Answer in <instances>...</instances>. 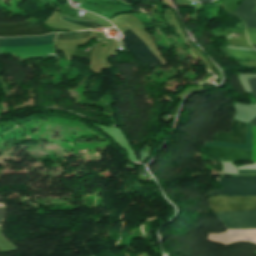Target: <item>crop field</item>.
<instances>
[{
	"label": "crop field",
	"instance_id": "crop-field-14",
	"mask_svg": "<svg viewBox=\"0 0 256 256\" xmlns=\"http://www.w3.org/2000/svg\"><path fill=\"white\" fill-rule=\"evenodd\" d=\"M227 42L230 44H234V45H243V46H249L251 47V45L249 44L248 40H242V39H227Z\"/></svg>",
	"mask_w": 256,
	"mask_h": 256
},
{
	"label": "crop field",
	"instance_id": "crop-field-4",
	"mask_svg": "<svg viewBox=\"0 0 256 256\" xmlns=\"http://www.w3.org/2000/svg\"><path fill=\"white\" fill-rule=\"evenodd\" d=\"M38 22H24L13 25L0 24V37L43 35L50 33Z\"/></svg>",
	"mask_w": 256,
	"mask_h": 256
},
{
	"label": "crop field",
	"instance_id": "crop-field-6",
	"mask_svg": "<svg viewBox=\"0 0 256 256\" xmlns=\"http://www.w3.org/2000/svg\"><path fill=\"white\" fill-rule=\"evenodd\" d=\"M202 151L213 160H219L218 157H224L223 161L251 162V152L248 151L211 147H203Z\"/></svg>",
	"mask_w": 256,
	"mask_h": 256
},
{
	"label": "crop field",
	"instance_id": "crop-field-9",
	"mask_svg": "<svg viewBox=\"0 0 256 256\" xmlns=\"http://www.w3.org/2000/svg\"><path fill=\"white\" fill-rule=\"evenodd\" d=\"M205 146H214V147H227L241 150L251 151L252 147V126L247 124V137H246V145L240 144H231V143H221V142H205Z\"/></svg>",
	"mask_w": 256,
	"mask_h": 256
},
{
	"label": "crop field",
	"instance_id": "crop-field-10",
	"mask_svg": "<svg viewBox=\"0 0 256 256\" xmlns=\"http://www.w3.org/2000/svg\"><path fill=\"white\" fill-rule=\"evenodd\" d=\"M227 57L241 60H256V52L219 47Z\"/></svg>",
	"mask_w": 256,
	"mask_h": 256
},
{
	"label": "crop field",
	"instance_id": "crop-field-8",
	"mask_svg": "<svg viewBox=\"0 0 256 256\" xmlns=\"http://www.w3.org/2000/svg\"><path fill=\"white\" fill-rule=\"evenodd\" d=\"M231 130L234 134L220 132L218 137H214V139L245 144L246 124L233 119Z\"/></svg>",
	"mask_w": 256,
	"mask_h": 256
},
{
	"label": "crop field",
	"instance_id": "crop-field-21",
	"mask_svg": "<svg viewBox=\"0 0 256 256\" xmlns=\"http://www.w3.org/2000/svg\"><path fill=\"white\" fill-rule=\"evenodd\" d=\"M254 47H256V45H253Z\"/></svg>",
	"mask_w": 256,
	"mask_h": 256
},
{
	"label": "crop field",
	"instance_id": "crop-field-18",
	"mask_svg": "<svg viewBox=\"0 0 256 256\" xmlns=\"http://www.w3.org/2000/svg\"><path fill=\"white\" fill-rule=\"evenodd\" d=\"M239 173H256L255 170H238Z\"/></svg>",
	"mask_w": 256,
	"mask_h": 256
},
{
	"label": "crop field",
	"instance_id": "crop-field-16",
	"mask_svg": "<svg viewBox=\"0 0 256 256\" xmlns=\"http://www.w3.org/2000/svg\"><path fill=\"white\" fill-rule=\"evenodd\" d=\"M254 141L252 147V161H256V128L253 127Z\"/></svg>",
	"mask_w": 256,
	"mask_h": 256
},
{
	"label": "crop field",
	"instance_id": "crop-field-2",
	"mask_svg": "<svg viewBox=\"0 0 256 256\" xmlns=\"http://www.w3.org/2000/svg\"><path fill=\"white\" fill-rule=\"evenodd\" d=\"M223 189L214 190L206 195H256V176H235L231 178H216Z\"/></svg>",
	"mask_w": 256,
	"mask_h": 256
},
{
	"label": "crop field",
	"instance_id": "crop-field-17",
	"mask_svg": "<svg viewBox=\"0 0 256 256\" xmlns=\"http://www.w3.org/2000/svg\"><path fill=\"white\" fill-rule=\"evenodd\" d=\"M4 211H5V207H0V222L2 221Z\"/></svg>",
	"mask_w": 256,
	"mask_h": 256
},
{
	"label": "crop field",
	"instance_id": "crop-field-20",
	"mask_svg": "<svg viewBox=\"0 0 256 256\" xmlns=\"http://www.w3.org/2000/svg\"><path fill=\"white\" fill-rule=\"evenodd\" d=\"M198 1H210V0H198Z\"/></svg>",
	"mask_w": 256,
	"mask_h": 256
},
{
	"label": "crop field",
	"instance_id": "crop-field-1",
	"mask_svg": "<svg viewBox=\"0 0 256 256\" xmlns=\"http://www.w3.org/2000/svg\"><path fill=\"white\" fill-rule=\"evenodd\" d=\"M213 213L256 212V197H210ZM226 229H256V213L214 214Z\"/></svg>",
	"mask_w": 256,
	"mask_h": 256
},
{
	"label": "crop field",
	"instance_id": "crop-field-19",
	"mask_svg": "<svg viewBox=\"0 0 256 256\" xmlns=\"http://www.w3.org/2000/svg\"><path fill=\"white\" fill-rule=\"evenodd\" d=\"M249 122H250V124H254L256 126V117Z\"/></svg>",
	"mask_w": 256,
	"mask_h": 256
},
{
	"label": "crop field",
	"instance_id": "crop-field-3",
	"mask_svg": "<svg viewBox=\"0 0 256 256\" xmlns=\"http://www.w3.org/2000/svg\"><path fill=\"white\" fill-rule=\"evenodd\" d=\"M123 35L134 43L124 48L129 50L144 66L150 69L162 65V63L153 55L146 44L135 33L128 29L125 33H123Z\"/></svg>",
	"mask_w": 256,
	"mask_h": 256
},
{
	"label": "crop field",
	"instance_id": "crop-field-12",
	"mask_svg": "<svg viewBox=\"0 0 256 256\" xmlns=\"http://www.w3.org/2000/svg\"><path fill=\"white\" fill-rule=\"evenodd\" d=\"M60 19L69 22L71 24H75V25H80V26H84L90 29L93 28H102L101 24L94 22V21H84V20H77V19H72L66 16H62Z\"/></svg>",
	"mask_w": 256,
	"mask_h": 256
},
{
	"label": "crop field",
	"instance_id": "crop-field-7",
	"mask_svg": "<svg viewBox=\"0 0 256 256\" xmlns=\"http://www.w3.org/2000/svg\"><path fill=\"white\" fill-rule=\"evenodd\" d=\"M208 240L226 245L239 241H249L256 244V230H227L224 233L209 234Z\"/></svg>",
	"mask_w": 256,
	"mask_h": 256
},
{
	"label": "crop field",
	"instance_id": "crop-field-13",
	"mask_svg": "<svg viewBox=\"0 0 256 256\" xmlns=\"http://www.w3.org/2000/svg\"><path fill=\"white\" fill-rule=\"evenodd\" d=\"M93 31H84L74 34H58L57 39H90Z\"/></svg>",
	"mask_w": 256,
	"mask_h": 256
},
{
	"label": "crop field",
	"instance_id": "crop-field-11",
	"mask_svg": "<svg viewBox=\"0 0 256 256\" xmlns=\"http://www.w3.org/2000/svg\"><path fill=\"white\" fill-rule=\"evenodd\" d=\"M54 37H55V34H49L44 37H22V38L0 39V45L22 43V42L48 41V40H53Z\"/></svg>",
	"mask_w": 256,
	"mask_h": 256
},
{
	"label": "crop field",
	"instance_id": "crop-field-5",
	"mask_svg": "<svg viewBox=\"0 0 256 256\" xmlns=\"http://www.w3.org/2000/svg\"><path fill=\"white\" fill-rule=\"evenodd\" d=\"M256 0H243L233 14L241 18L246 27L256 28V11H253ZM247 28L249 41L256 43V29Z\"/></svg>",
	"mask_w": 256,
	"mask_h": 256
},
{
	"label": "crop field",
	"instance_id": "crop-field-15",
	"mask_svg": "<svg viewBox=\"0 0 256 256\" xmlns=\"http://www.w3.org/2000/svg\"><path fill=\"white\" fill-rule=\"evenodd\" d=\"M247 81L250 85V89L252 90L254 97H256V78H247Z\"/></svg>",
	"mask_w": 256,
	"mask_h": 256
}]
</instances>
